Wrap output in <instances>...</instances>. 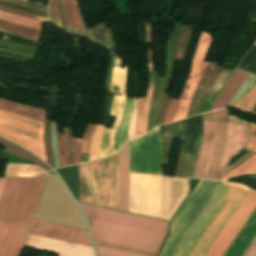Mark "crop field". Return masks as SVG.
Wrapping results in <instances>:
<instances>
[{
    "label": "crop field",
    "instance_id": "crop-field-36",
    "mask_svg": "<svg viewBox=\"0 0 256 256\" xmlns=\"http://www.w3.org/2000/svg\"><path fill=\"white\" fill-rule=\"evenodd\" d=\"M71 3H72V8H73V14H74V17L76 19V23H77V27H78V35L84 36L83 31H82V27H81V23H80V19H79V16H78V12H77V7H76V4H75V0H71Z\"/></svg>",
    "mask_w": 256,
    "mask_h": 256
},
{
    "label": "crop field",
    "instance_id": "crop-field-2",
    "mask_svg": "<svg viewBox=\"0 0 256 256\" xmlns=\"http://www.w3.org/2000/svg\"><path fill=\"white\" fill-rule=\"evenodd\" d=\"M248 192L242 185L222 182L181 240L174 256H205Z\"/></svg>",
    "mask_w": 256,
    "mask_h": 256
},
{
    "label": "crop field",
    "instance_id": "crop-field-17",
    "mask_svg": "<svg viewBox=\"0 0 256 256\" xmlns=\"http://www.w3.org/2000/svg\"><path fill=\"white\" fill-rule=\"evenodd\" d=\"M26 245L69 256H94L93 249L90 247L44 238L31 234H29V239Z\"/></svg>",
    "mask_w": 256,
    "mask_h": 256
},
{
    "label": "crop field",
    "instance_id": "crop-field-18",
    "mask_svg": "<svg viewBox=\"0 0 256 256\" xmlns=\"http://www.w3.org/2000/svg\"><path fill=\"white\" fill-rule=\"evenodd\" d=\"M130 142L120 149L119 209L128 211Z\"/></svg>",
    "mask_w": 256,
    "mask_h": 256
},
{
    "label": "crop field",
    "instance_id": "crop-field-8",
    "mask_svg": "<svg viewBox=\"0 0 256 256\" xmlns=\"http://www.w3.org/2000/svg\"><path fill=\"white\" fill-rule=\"evenodd\" d=\"M126 66L122 69L113 68L111 91L123 94V97L114 95L109 115L116 116L112 130L104 129L99 148V158L109 156L117 151L119 128L126 111L125 80Z\"/></svg>",
    "mask_w": 256,
    "mask_h": 256
},
{
    "label": "crop field",
    "instance_id": "crop-field-9",
    "mask_svg": "<svg viewBox=\"0 0 256 256\" xmlns=\"http://www.w3.org/2000/svg\"><path fill=\"white\" fill-rule=\"evenodd\" d=\"M212 40L213 38L209 35V33L201 31L191 70L185 88L176 105L172 122L186 116L190 101L198 87V84L207 66L208 62L204 61V59L206 57Z\"/></svg>",
    "mask_w": 256,
    "mask_h": 256
},
{
    "label": "crop field",
    "instance_id": "crop-field-45",
    "mask_svg": "<svg viewBox=\"0 0 256 256\" xmlns=\"http://www.w3.org/2000/svg\"><path fill=\"white\" fill-rule=\"evenodd\" d=\"M255 105H256V101H255V103H254V105H253V108H252V110H251V113L253 112V110H254V108H255Z\"/></svg>",
    "mask_w": 256,
    "mask_h": 256
},
{
    "label": "crop field",
    "instance_id": "crop-field-13",
    "mask_svg": "<svg viewBox=\"0 0 256 256\" xmlns=\"http://www.w3.org/2000/svg\"><path fill=\"white\" fill-rule=\"evenodd\" d=\"M29 233L92 247L88 232L81 229L33 219Z\"/></svg>",
    "mask_w": 256,
    "mask_h": 256
},
{
    "label": "crop field",
    "instance_id": "crop-field-22",
    "mask_svg": "<svg viewBox=\"0 0 256 256\" xmlns=\"http://www.w3.org/2000/svg\"><path fill=\"white\" fill-rule=\"evenodd\" d=\"M46 172L37 165L7 163L5 177L29 176L35 177Z\"/></svg>",
    "mask_w": 256,
    "mask_h": 256
},
{
    "label": "crop field",
    "instance_id": "crop-field-43",
    "mask_svg": "<svg viewBox=\"0 0 256 256\" xmlns=\"http://www.w3.org/2000/svg\"><path fill=\"white\" fill-rule=\"evenodd\" d=\"M5 180L6 179H0V194H1L2 188L4 186Z\"/></svg>",
    "mask_w": 256,
    "mask_h": 256
},
{
    "label": "crop field",
    "instance_id": "crop-field-25",
    "mask_svg": "<svg viewBox=\"0 0 256 256\" xmlns=\"http://www.w3.org/2000/svg\"><path fill=\"white\" fill-rule=\"evenodd\" d=\"M256 173V155L253 154L246 161H244L236 169H233L221 180L229 181L230 178H235L240 175Z\"/></svg>",
    "mask_w": 256,
    "mask_h": 256
},
{
    "label": "crop field",
    "instance_id": "crop-field-27",
    "mask_svg": "<svg viewBox=\"0 0 256 256\" xmlns=\"http://www.w3.org/2000/svg\"><path fill=\"white\" fill-rule=\"evenodd\" d=\"M104 127L105 126H100V125L96 126V129H95L93 137H92V143L90 146L89 161L98 158V148H99V143H100V139H101Z\"/></svg>",
    "mask_w": 256,
    "mask_h": 256
},
{
    "label": "crop field",
    "instance_id": "crop-field-21",
    "mask_svg": "<svg viewBox=\"0 0 256 256\" xmlns=\"http://www.w3.org/2000/svg\"><path fill=\"white\" fill-rule=\"evenodd\" d=\"M0 109L12 112L15 114H19L22 116H26L32 119H36L39 121H45L46 119V111L45 109H39L34 107H28L12 102H8L0 99Z\"/></svg>",
    "mask_w": 256,
    "mask_h": 256
},
{
    "label": "crop field",
    "instance_id": "crop-field-42",
    "mask_svg": "<svg viewBox=\"0 0 256 256\" xmlns=\"http://www.w3.org/2000/svg\"><path fill=\"white\" fill-rule=\"evenodd\" d=\"M61 3H62V6H63V10H64V15H65L66 23H67V28H71L69 14H68L67 9H66L65 0H61Z\"/></svg>",
    "mask_w": 256,
    "mask_h": 256
},
{
    "label": "crop field",
    "instance_id": "crop-field-39",
    "mask_svg": "<svg viewBox=\"0 0 256 256\" xmlns=\"http://www.w3.org/2000/svg\"><path fill=\"white\" fill-rule=\"evenodd\" d=\"M252 153H247L245 156L237 160L235 163H233L231 166H229L226 170L220 173L219 180L224 177L229 171H231L234 167H236L240 162H242L245 158H247Z\"/></svg>",
    "mask_w": 256,
    "mask_h": 256
},
{
    "label": "crop field",
    "instance_id": "crop-field-38",
    "mask_svg": "<svg viewBox=\"0 0 256 256\" xmlns=\"http://www.w3.org/2000/svg\"><path fill=\"white\" fill-rule=\"evenodd\" d=\"M176 103H177V101H175L173 99L170 100V104L168 107V111H167V115H166L164 123L171 122Z\"/></svg>",
    "mask_w": 256,
    "mask_h": 256
},
{
    "label": "crop field",
    "instance_id": "crop-field-4",
    "mask_svg": "<svg viewBox=\"0 0 256 256\" xmlns=\"http://www.w3.org/2000/svg\"><path fill=\"white\" fill-rule=\"evenodd\" d=\"M45 174L34 179H7L0 197V219L30 224Z\"/></svg>",
    "mask_w": 256,
    "mask_h": 256
},
{
    "label": "crop field",
    "instance_id": "crop-field-28",
    "mask_svg": "<svg viewBox=\"0 0 256 256\" xmlns=\"http://www.w3.org/2000/svg\"><path fill=\"white\" fill-rule=\"evenodd\" d=\"M255 99H256V85L252 87V89L248 92V94L243 100H241L239 103H237L233 107L240 108L242 111L249 113Z\"/></svg>",
    "mask_w": 256,
    "mask_h": 256
},
{
    "label": "crop field",
    "instance_id": "crop-field-26",
    "mask_svg": "<svg viewBox=\"0 0 256 256\" xmlns=\"http://www.w3.org/2000/svg\"><path fill=\"white\" fill-rule=\"evenodd\" d=\"M0 19L41 31V22L0 11Z\"/></svg>",
    "mask_w": 256,
    "mask_h": 256
},
{
    "label": "crop field",
    "instance_id": "crop-field-16",
    "mask_svg": "<svg viewBox=\"0 0 256 256\" xmlns=\"http://www.w3.org/2000/svg\"><path fill=\"white\" fill-rule=\"evenodd\" d=\"M29 226L6 222L0 233V256H18L28 235Z\"/></svg>",
    "mask_w": 256,
    "mask_h": 256
},
{
    "label": "crop field",
    "instance_id": "crop-field-7",
    "mask_svg": "<svg viewBox=\"0 0 256 256\" xmlns=\"http://www.w3.org/2000/svg\"><path fill=\"white\" fill-rule=\"evenodd\" d=\"M43 122L0 111V135L22 145L46 161Z\"/></svg>",
    "mask_w": 256,
    "mask_h": 256
},
{
    "label": "crop field",
    "instance_id": "crop-field-10",
    "mask_svg": "<svg viewBox=\"0 0 256 256\" xmlns=\"http://www.w3.org/2000/svg\"><path fill=\"white\" fill-rule=\"evenodd\" d=\"M255 207L256 192L250 190L215 242L212 244L206 256H222Z\"/></svg>",
    "mask_w": 256,
    "mask_h": 256
},
{
    "label": "crop field",
    "instance_id": "crop-field-20",
    "mask_svg": "<svg viewBox=\"0 0 256 256\" xmlns=\"http://www.w3.org/2000/svg\"><path fill=\"white\" fill-rule=\"evenodd\" d=\"M248 73L240 71L238 69L234 70V73L228 82V84L225 86V88L222 90V92L219 94V96L216 98L212 109L224 107L228 104L230 99L233 97L237 89L240 87L242 84L245 76Z\"/></svg>",
    "mask_w": 256,
    "mask_h": 256
},
{
    "label": "crop field",
    "instance_id": "crop-field-31",
    "mask_svg": "<svg viewBox=\"0 0 256 256\" xmlns=\"http://www.w3.org/2000/svg\"><path fill=\"white\" fill-rule=\"evenodd\" d=\"M246 150L256 152V125L250 124Z\"/></svg>",
    "mask_w": 256,
    "mask_h": 256
},
{
    "label": "crop field",
    "instance_id": "crop-field-5",
    "mask_svg": "<svg viewBox=\"0 0 256 256\" xmlns=\"http://www.w3.org/2000/svg\"><path fill=\"white\" fill-rule=\"evenodd\" d=\"M204 137L194 178L216 180L226 137V110L203 114Z\"/></svg>",
    "mask_w": 256,
    "mask_h": 256
},
{
    "label": "crop field",
    "instance_id": "crop-field-35",
    "mask_svg": "<svg viewBox=\"0 0 256 256\" xmlns=\"http://www.w3.org/2000/svg\"><path fill=\"white\" fill-rule=\"evenodd\" d=\"M75 141V164L81 162V141L82 139L74 138Z\"/></svg>",
    "mask_w": 256,
    "mask_h": 256
},
{
    "label": "crop field",
    "instance_id": "crop-field-46",
    "mask_svg": "<svg viewBox=\"0 0 256 256\" xmlns=\"http://www.w3.org/2000/svg\"><path fill=\"white\" fill-rule=\"evenodd\" d=\"M59 256H65V255H61V254H59Z\"/></svg>",
    "mask_w": 256,
    "mask_h": 256
},
{
    "label": "crop field",
    "instance_id": "crop-field-6",
    "mask_svg": "<svg viewBox=\"0 0 256 256\" xmlns=\"http://www.w3.org/2000/svg\"><path fill=\"white\" fill-rule=\"evenodd\" d=\"M93 239L157 253L165 234L87 217Z\"/></svg>",
    "mask_w": 256,
    "mask_h": 256
},
{
    "label": "crop field",
    "instance_id": "crop-field-14",
    "mask_svg": "<svg viewBox=\"0 0 256 256\" xmlns=\"http://www.w3.org/2000/svg\"><path fill=\"white\" fill-rule=\"evenodd\" d=\"M247 124L228 116L227 138L219 170L228 167L232 157L238 155L246 144Z\"/></svg>",
    "mask_w": 256,
    "mask_h": 256
},
{
    "label": "crop field",
    "instance_id": "crop-field-29",
    "mask_svg": "<svg viewBox=\"0 0 256 256\" xmlns=\"http://www.w3.org/2000/svg\"><path fill=\"white\" fill-rule=\"evenodd\" d=\"M137 105H138V99H134L132 114H131L130 123H129L128 141L133 139L135 135Z\"/></svg>",
    "mask_w": 256,
    "mask_h": 256
},
{
    "label": "crop field",
    "instance_id": "crop-field-49",
    "mask_svg": "<svg viewBox=\"0 0 256 256\" xmlns=\"http://www.w3.org/2000/svg\"><path fill=\"white\" fill-rule=\"evenodd\" d=\"M26 1V0H25Z\"/></svg>",
    "mask_w": 256,
    "mask_h": 256
},
{
    "label": "crop field",
    "instance_id": "crop-field-41",
    "mask_svg": "<svg viewBox=\"0 0 256 256\" xmlns=\"http://www.w3.org/2000/svg\"><path fill=\"white\" fill-rule=\"evenodd\" d=\"M243 256H256V238L253 240Z\"/></svg>",
    "mask_w": 256,
    "mask_h": 256
},
{
    "label": "crop field",
    "instance_id": "crop-field-1",
    "mask_svg": "<svg viewBox=\"0 0 256 256\" xmlns=\"http://www.w3.org/2000/svg\"><path fill=\"white\" fill-rule=\"evenodd\" d=\"M159 129L131 142L130 172L161 175ZM130 173L129 211L161 218V176Z\"/></svg>",
    "mask_w": 256,
    "mask_h": 256
},
{
    "label": "crop field",
    "instance_id": "crop-field-19",
    "mask_svg": "<svg viewBox=\"0 0 256 256\" xmlns=\"http://www.w3.org/2000/svg\"><path fill=\"white\" fill-rule=\"evenodd\" d=\"M256 236V212L251 217L243 231L240 233L226 256H242Z\"/></svg>",
    "mask_w": 256,
    "mask_h": 256
},
{
    "label": "crop field",
    "instance_id": "crop-field-33",
    "mask_svg": "<svg viewBox=\"0 0 256 256\" xmlns=\"http://www.w3.org/2000/svg\"><path fill=\"white\" fill-rule=\"evenodd\" d=\"M143 103H144V99H139L138 117H137V126H136L135 138L140 136L141 122H142V112H143Z\"/></svg>",
    "mask_w": 256,
    "mask_h": 256
},
{
    "label": "crop field",
    "instance_id": "crop-field-37",
    "mask_svg": "<svg viewBox=\"0 0 256 256\" xmlns=\"http://www.w3.org/2000/svg\"><path fill=\"white\" fill-rule=\"evenodd\" d=\"M63 142H64V154L66 166L70 165L69 153H68V140H67V129H63Z\"/></svg>",
    "mask_w": 256,
    "mask_h": 256
},
{
    "label": "crop field",
    "instance_id": "crop-field-12",
    "mask_svg": "<svg viewBox=\"0 0 256 256\" xmlns=\"http://www.w3.org/2000/svg\"><path fill=\"white\" fill-rule=\"evenodd\" d=\"M86 216L165 233L167 223L157 219L80 204Z\"/></svg>",
    "mask_w": 256,
    "mask_h": 256
},
{
    "label": "crop field",
    "instance_id": "crop-field-23",
    "mask_svg": "<svg viewBox=\"0 0 256 256\" xmlns=\"http://www.w3.org/2000/svg\"><path fill=\"white\" fill-rule=\"evenodd\" d=\"M94 243H95L97 252L100 254H104V255H109V256H155L153 254H148V253H144V252L124 249V248L105 245V244L96 243V242H94Z\"/></svg>",
    "mask_w": 256,
    "mask_h": 256
},
{
    "label": "crop field",
    "instance_id": "crop-field-30",
    "mask_svg": "<svg viewBox=\"0 0 256 256\" xmlns=\"http://www.w3.org/2000/svg\"><path fill=\"white\" fill-rule=\"evenodd\" d=\"M96 125H87L84 137H83V143H82V153H89V146L91 142V136L94 131Z\"/></svg>",
    "mask_w": 256,
    "mask_h": 256
},
{
    "label": "crop field",
    "instance_id": "crop-field-44",
    "mask_svg": "<svg viewBox=\"0 0 256 256\" xmlns=\"http://www.w3.org/2000/svg\"><path fill=\"white\" fill-rule=\"evenodd\" d=\"M4 223H5V222L0 221V231H1V229H2V227H3V225H4Z\"/></svg>",
    "mask_w": 256,
    "mask_h": 256
},
{
    "label": "crop field",
    "instance_id": "crop-field-11",
    "mask_svg": "<svg viewBox=\"0 0 256 256\" xmlns=\"http://www.w3.org/2000/svg\"><path fill=\"white\" fill-rule=\"evenodd\" d=\"M163 136L183 139L181 150L198 155L203 137L202 114L164 125Z\"/></svg>",
    "mask_w": 256,
    "mask_h": 256
},
{
    "label": "crop field",
    "instance_id": "crop-field-32",
    "mask_svg": "<svg viewBox=\"0 0 256 256\" xmlns=\"http://www.w3.org/2000/svg\"><path fill=\"white\" fill-rule=\"evenodd\" d=\"M0 10L7 11V12H10V13H14V14H18V15H21V16H25V17H29V18H33V19H37V20H41V21H46V22H48V19H47V18H43V17H40V16L32 15V14H29V13H25V12L18 11V10H15V9L7 8V7H4V6H0Z\"/></svg>",
    "mask_w": 256,
    "mask_h": 256
},
{
    "label": "crop field",
    "instance_id": "crop-field-48",
    "mask_svg": "<svg viewBox=\"0 0 256 256\" xmlns=\"http://www.w3.org/2000/svg\"><path fill=\"white\" fill-rule=\"evenodd\" d=\"M255 44H256V41H255Z\"/></svg>",
    "mask_w": 256,
    "mask_h": 256
},
{
    "label": "crop field",
    "instance_id": "crop-field-47",
    "mask_svg": "<svg viewBox=\"0 0 256 256\" xmlns=\"http://www.w3.org/2000/svg\"><path fill=\"white\" fill-rule=\"evenodd\" d=\"M98 256H104V255H100V254H98Z\"/></svg>",
    "mask_w": 256,
    "mask_h": 256
},
{
    "label": "crop field",
    "instance_id": "crop-field-40",
    "mask_svg": "<svg viewBox=\"0 0 256 256\" xmlns=\"http://www.w3.org/2000/svg\"><path fill=\"white\" fill-rule=\"evenodd\" d=\"M66 4H67L68 12H69L70 18H71L72 32L77 33V27H76L75 20L73 18L70 0H66Z\"/></svg>",
    "mask_w": 256,
    "mask_h": 256
},
{
    "label": "crop field",
    "instance_id": "crop-field-15",
    "mask_svg": "<svg viewBox=\"0 0 256 256\" xmlns=\"http://www.w3.org/2000/svg\"><path fill=\"white\" fill-rule=\"evenodd\" d=\"M187 194V179L162 176V218L170 219Z\"/></svg>",
    "mask_w": 256,
    "mask_h": 256
},
{
    "label": "crop field",
    "instance_id": "crop-field-24",
    "mask_svg": "<svg viewBox=\"0 0 256 256\" xmlns=\"http://www.w3.org/2000/svg\"><path fill=\"white\" fill-rule=\"evenodd\" d=\"M0 30L9 32V33H13V34H17V35H21L28 39L36 40V41H38L39 35H40V31L25 28V27L7 23L4 21H0Z\"/></svg>",
    "mask_w": 256,
    "mask_h": 256
},
{
    "label": "crop field",
    "instance_id": "crop-field-3",
    "mask_svg": "<svg viewBox=\"0 0 256 256\" xmlns=\"http://www.w3.org/2000/svg\"><path fill=\"white\" fill-rule=\"evenodd\" d=\"M115 153L113 156L118 154ZM111 156V157H113ZM109 157V158H111ZM104 158V159H109ZM100 159V160H104ZM81 164L88 165L94 162ZM81 199L118 207L119 154L112 159L80 167ZM81 200V201H83ZM83 201V202H88ZM88 202V203H92ZM92 203V204H97ZM97 204V205H102ZM102 205V206H107ZM107 206V207H111ZM111 207V208H116ZM118 209V208H116Z\"/></svg>",
    "mask_w": 256,
    "mask_h": 256
},
{
    "label": "crop field",
    "instance_id": "crop-field-34",
    "mask_svg": "<svg viewBox=\"0 0 256 256\" xmlns=\"http://www.w3.org/2000/svg\"><path fill=\"white\" fill-rule=\"evenodd\" d=\"M49 16H50V19L61 24L59 15L57 12L56 0H50L49 2Z\"/></svg>",
    "mask_w": 256,
    "mask_h": 256
}]
</instances>
